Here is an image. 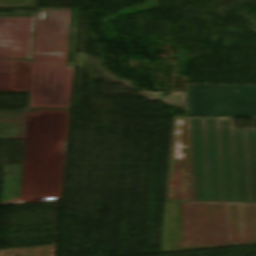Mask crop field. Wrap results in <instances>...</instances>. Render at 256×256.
Masks as SVG:
<instances>
[{"instance_id": "8a807250", "label": "crop field", "mask_w": 256, "mask_h": 256, "mask_svg": "<svg viewBox=\"0 0 256 256\" xmlns=\"http://www.w3.org/2000/svg\"><path fill=\"white\" fill-rule=\"evenodd\" d=\"M256 243V204L194 202L188 118L174 117L160 252Z\"/></svg>"}, {"instance_id": "ac0d7876", "label": "crop field", "mask_w": 256, "mask_h": 256, "mask_svg": "<svg viewBox=\"0 0 256 256\" xmlns=\"http://www.w3.org/2000/svg\"><path fill=\"white\" fill-rule=\"evenodd\" d=\"M195 201L256 203V130L189 118Z\"/></svg>"}, {"instance_id": "34b2d1b8", "label": "crop field", "mask_w": 256, "mask_h": 256, "mask_svg": "<svg viewBox=\"0 0 256 256\" xmlns=\"http://www.w3.org/2000/svg\"><path fill=\"white\" fill-rule=\"evenodd\" d=\"M189 115L256 117V87L186 85Z\"/></svg>"}, {"instance_id": "412701ff", "label": "crop field", "mask_w": 256, "mask_h": 256, "mask_svg": "<svg viewBox=\"0 0 256 256\" xmlns=\"http://www.w3.org/2000/svg\"><path fill=\"white\" fill-rule=\"evenodd\" d=\"M36 0H0V7L35 8Z\"/></svg>"}]
</instances>
